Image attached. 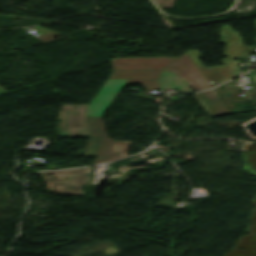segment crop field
Wrapping results in <instances>:
<instances>
[{"mask_svg":"<svg viewBox=\"0 0 256 256\" xmlns=\"http://www.w3.org/2000/svg\"><path fill=\"white\" fill-rule=\"evenodd\" d=\"M194 96L202 105L209 117L230 113L213 89L195 94Z\"/></svg>","mask_w":256,"mask_h":256,"instance_id":"412701ff","label":"crop field"},{"mask_svg":"<svg viewBox=\"0 0 256 256\" xmlns=\"http://www.w3.org/2000/svg\"><path fill=\"white\" fill-rule=\"evenodd\" d=\"M90 129L58 128L60 137L87 136Z\"/></svg>","mask_w":256,"mask_h":256,"instance_id":"f4fd0767","label":"crop field"},{"mask_svg":"<svg viewBox=\"0 0 256 256\" xmlns=\"http://www.w3.org/2000/svg\"><path fill=\"white\" fill-rule=\"evenodd\" d=\"M86 105H64L62 106L58 119V127L90 128L86 119Z\"/></svg>","mask_w":256,"mask_h":256,"instance_id":"34b2d1b8","label":"crop field"},{"mask_svg":"<svg viewBox=\"0 0 256 256\" xmlns=\"http://www.w3.org/2000/svg\"><path fill=\"white\" fill-rule=\"evenodd\" d=\"M91 127L84 156H97L94 163L109 162L128 154L130 142L113 141L106 136L101 117H87Z\"/></svg>","mask_w":256,"mask_h":256,"instance_id":"ac0d7876","label":"crop field"},{"mask_svg":"<svg viewBox=\"0 0 256 256\" xmlns=\"http://www.w3.org/2000/svg\"><path fill=\"white\" fill-rule=\"evenodd\" d=\"M113 73L87 105V116H101L126 84H141L145 91L159 90L156 78L161 70H170L195 91L209 84L187 55L179 58H118L111 61Z\"/></svg>","mask_w":256,"mask_h":256,"instance_id":"8a807250","label":"crop field"}]
</instances>
